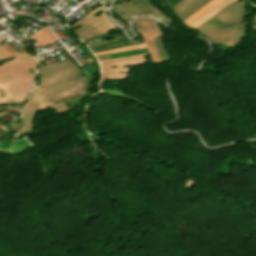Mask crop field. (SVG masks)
Here are the masks:
<instances>
[{
    "label": "crop field",
    "mask_w": 256,
    "mask_h": 256,
    "mask_svg": "<svg viewBox=\"0 0 256 256\" xmlns=\"http://www.w3.org/2000/svg\"><path fill=\"white\" fill-rule=\"evenodd\" d=\"M222 1L224 0H212L207 5L198 10L196 13L187 18L185 21H183V23L187 26L192 25L194 22L199 20L201 17H203L206 13H208L212 8L220 4Z\"/></svg>",
    "instance_id": "2"
},
{
    "label": "crop field",
    "mask_w": 256,
    "mask_h": 256,
    "mask_svg": "<svg viewBox=\"0 0 256 256\" xmlns=\"http://www.w3.org/2000/svg\"><path fill=\"white\" fill-rule=\"evenodd\" d=\"M135 10H137L140 14L151 15L159 20L164 17L161 16L157 11H155L151 6H149L144 0H133L128 2Z\"/></svg>",
    "instance_id": "1"
},
{
    "label": "crop field",
    "mask_w": 256,
    "mask_h": 256,
    "mask_svg": "<svg viewBox=\"0 0 256 256\" xmlns=\"http://www.w3.org/2000/svg\"><path fill=\"white\" fill-rule=\"evenodd\" d=\"M11 141H12V139L0 141V150L8 151L9 147H10V144H11Z\"/></svg>",
    "instance_id": "4"
},
{
    "label": "crop field",
    "mask_w": 256,
    "mask_h": 256,
    "mask_svg": "<svg viewBox=\"0 0 256 256\" xmlns=\"http://www.w3.org/2000/svg\"><path fill=\"white\" fill-rule=\"evenodd\" d=\"M33 144L27 138H22L21 140H14L10 152L18 151L27 147L32 146Z\"/></svg>",
    "instance_id": "3"
}]
</instances>
